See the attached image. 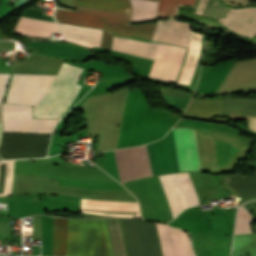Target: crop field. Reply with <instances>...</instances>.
Returning a JSON list of instances; mask_svg holds the SVG:
<instances>
[{
	"instance_id": "crop-field-28",
	"label": "crop field",
	"mask_w": 256,
	"mask_h": 256,
	"mask_svg": "<svg viewBox=\"0 0 256 256\" xmlns=\"http://www.w3.org/2000/svg\"><path fill=\"white\" fill-rule=\"evenodd\" d=\"M0 137H1V123H0Z\"/></svg>"
},
{
	"instance_id": "crop-field-20",
	"label": "crop field",
	"mask_w": 256,
	"mask_h": 256,
	"mask_svg": "<svg viewBox=\"0 0 256 256\" xmlns=\"http://www.w3.org/2000/svg\"><path fill=\"white\" fill-rule=\"evenodd\" d=\"M251 214L241 206L238 210V218L235 234L251 233L249 223Z\"/></svg>"
},
{
	"instance_id": "crop-field-24",
	"label": "crop field",
	"mask_w": 256,
	"mask_h": 256,
	"mask_svg": "<svg viewBox=\"0 0 256 256\" xmlns=\"http://www.w3.org/2000/svg\"><path fill=\"white\" fill-rule=\"evenodd\" d=\"M248 127L249 129L256 131V118H248Z\"/></svg>"
},
{
	"instance_id": "crop-field-17",
	"label": "crop field",
	"mask_w": 256,
	"mask_h": 256,
	"mask_svg": "<svg viewBox=\"0 0 256 256\" xmlns=\"http://www.w3.org/2000/svg\"><path fill=\"white\" fill-rule=\"evenodd\" d=\"M114 256H126L117 218L105 219Z\"/></svg>"
},
{
	"instance_id": "crop-field-15",
	"label": "crop field",
	"mask_w": 256,
	"mask_h": 256,
	"mask_svg": "<svg viewBox=\"0 0 256 256\" xmlns=\"http://www.w3.org/2000/svg\"><path fill=\"white\" fill-rule=\"evenodd\" d=\"M15 32L20 35L50 37L51 33H60L59 25L53 22L21 17Z\"/></svg>"
},
{
	"instance_id": "crop-field-27",
	"label": "crop field",
	"mask_w": 256,
	"mask_h": 256,
	"mask_svg": "<svg viewBox=\"0 0 256 256\" xmlns=\"http://www.w3.org/2000/svg\"><path fill=\"white\" fill-rule=\"evenodd\" d=\"M0 121H1V104H0Z\"/></svg>"
},
{
	"instance_id": "crop-field-26",
	"label": "crop field",
	"mask_w": 256,
	"mask_h": 256,
	"mask_svg": "<svg viewBox=\"0 0 256 256\" xmlns=\"http://www.w3.org/2000/svg\"><path fill=\"white\" fill-rule=\"evenodd\" d=\"M254 91H256V87L253 88V89H251V90H248V91H246V92H244V93L247 94V93H251V92H254Z\"/></svg>"
},
{
	"instance_id": "crop-field-1",
	"label": "crop field",
	"mask_w": 256,
	"mask_h": 256,
	"mask_svg": "<svg viewBox=\"0 0 256 256\" xmlns=\"http://www.w3.org/2000/svg\"><path fill=\"white\" fill-rule=\"evenodd\" d=\"M158 1V0H156ZM77 9L130 21V0H74ZM84 11L56 7L57 22L103 29L102 48L109 49L112 35L152 38L155 23L129 25L130 22L112 19Z\"/></svg>"
},
{
	"instance_id": "crop-field-13",
	"label": "crop field",
	"mask_w": 256,
	"mask_h": 256,
	"mask_svg": "<svg viewBox=\"0 0 256 256\" xmlns=\"http://www.w3.org/2000/svg\"><path fill=\"white\" fill-rule=\"evenodd\" d=\"M170 20L172 19H169L168 21ZM161 22H167V21H157L152 39L157 38V34L159 31ZM185 25L186 23L177 22L174 20L167 23H162L159 34H158V38L157 40H154V41L182 46L183 40H184ZM188 35H189V24H187L186 26L185 40L183 45L185 47H187Z\"/></svg>"
},
{
	"instance_id": "crop-field-12",
	"label": "crop field",
	"mask_w": 256,
	"mask_h": 256,
	"mask_svg": "<svg viewBox=\"0 0 256 256\" xmlns=\"http://www.w3.org/2000/svg\"><path fill=\"white\" fill-rule=\"evenodd\" d=\"M163 256H194L186 233L156 223Z\"/></svg>"
},
{
	"instance_id": "crop-field-6",
	"label": "crop field",
	"mask_w": 256,
	"mask_h": 256,
	"mask_svg": "<svg viewBox=\"0 0 256 256\" xmlns=\"http://www.w3.org/2000/svg\"><path fill=\"white\" fill-rule=\"evenodd\" d=\"M81 71L82 68L63 63L52 85L33 108V118H59L80 88L75 83Z\"/></svg>"
},
{
	"instance_id": "crop-field-3",
	"label": "crop field",
	"mask_w": 256,
	"mask_h": 256,
	"mask_svg": "<svg viewBox=\"0 0 256 256\" xmlns=\"http://www.w3.org/2000/svg\"><path fill=\"white\" fill-rule=\"evenodd\" d=\"M174 132L180 171H200L194 130L174 128ZM114 153L122 183L152 175L145 145Z\"/></svg>"
},
{
	"instance_id": "crop-field-4",
	"label": "crop field",
	"mask_w": 256,
	"mask_h": 256,
	"mask_svg": "<svg viewBox=\"0 0 256 256\" xmlns=\"http://www.w3.org/2000/svg\"><path fill=\"white\" fill-rule=\"evenodd\" d=\"M256 43V5L231 7L223 0H197L193 14H181Z\"/></svg>"
},
{
	"instance_id": "crop-field-9",
	"label": "crop field",
	"mask_w": 256,
	"mask_h": 256,
	"mask_svg": "<svg viewBox=\"0 0 256 256\" xmlns=\"http://www.w3.org/2000/svg\"><path fill=\"white\" fill-rule=\"evenodd\" d=\"M158 177L172 219L185 207L199 205L188 173Z\"/></svg>"
},
{
	"instance_id": "crop-field-21",
	"label": "crop field",
	"mask_w": 256,
	"mask_h": 256,
	"mask_svg": "<svg viewBox=\"0 0 256 256\" xmlns=\"http://www.w3.org/2000/svg\"><path fill=\"white\" fill-rule=\"evenodd\" d=\"M33 226H23L24 237H33V240H41V215L32 217Z\"/></svg>"
},
{
	"instance_id": "crop-field-2",
	"label": "crop field",
	"mask_w": 256,
	"mask_h": 256,
	"mask_svg": "<svg viewBox=\"0 0 256 256\" xmlns=\"http://www.w3.org/2000/svg\"><path fill=\"white\" fill-rule=\"evenodd\" d=\"M67 219L54 217L52 255L66 256ZM67 256H113L104 219H68Z\"/></svg>"
},
{
	"instance_id": "crop-field-10",
	"label": "crop field",
	"mask_w": 256,
	"mask_h": 256,
	"mask_svg": "<svg viewBox=\"0 0 256 256\" xmlns=\"http://www.w3.org/2000/svg\"><path fill=\"white\" fill-rule=\"evenodd\" d=\"M54 78L55 76L13 74L5 102L35 106Z\"/></svg>"
},
{
	"instance_id": "crop-field-22",
	"label": "crop field",
	"mask_w": 256,
	"mask_h": 256,
	"mask_svg": "<svg viewBox=\"0 0 256 256\" xmlns=\"http://www.w3.org/2000/svg\"><path fill=\"white\" fill-rule=\"evenodd\" d=\"M9 74H0V103L2 102L4 90L6 87L7 79Z\"/></svg>"
},
{
	"instance_id": "crop-field-16",
	"label": "crop field",
	"mask_w": 256,
	"mask_h": 256,
	"mask_svg": "<svg viewBox=\"0 0 256 256\" xmlns=\"http://www.w3.org/2000/svg\"><path fill=\"white\" fill-rule=\"evenodd\" d=\"M227 185L243 199L256 196V175L252 177L227 176Z\"/></svg>"
},
{
	"instance_id": "crop-field-11",
	"label": "crop field",
	"mask_w": 256,
	"mask_h": 256,
	"mask_svg": "<svg viewBox=\"0 0 256 256\" xmlns=\"http://www.w3.org/2000/svg\"><path fill=\"white\" fill-rule=\"evenodd\" d=\"M57 121L32 119V107L3 104V131L51 133Z\"/></svg>"
},
{
	"instance_id": "crop-field-7",
	"label": "crop field",
	"mask_w": 256,
	"mask_h": 256,
	"mask_svg": "<svg viewBox=\"0 0 256 256\" xmlns=\"http://www.w3.org/2000/svg\"><path fill=\"white\" fill-rule=\"evenodd\" d=\"M226 97L210 99L193 98L184 116L225 123L227 118L208 117L219 114ZM220 114L256 117V99L227 97Z\"/></svg>"
},
{
	"instance_id": "crop-field-18",
	"label": "crop field",
	"mask_w": 256,
	"mask_h": 256,
	"mask_svg": "<svg viewBox=\"0 0 256 256\" xmlns=\"http://www.w3.org/2000/svg\"><path fill=\"white\" fill-rule=\"evenodd\" d=\"M133 12L131 20H142L156 16V9L159 2L148 0H131Z\"/></svg>"
},
{
	"instance_id": "crop-field-23",
	"label": "crop field",
	"mask_w": 256,
	"mask_h": 256,
	"mask_svg": "<svg viewBox=\"0 0 256 256\" xmlns=\"http://www.w3.org/2000/svg\"><path fill=\"white\" fill-rule=\"evenodd\" d=\"M9 222H0V235H8Z\"/></svg>"
},
{
	"instance_id": "crop-field-14",
	"label": "crop field",
	"mask_w": 256,
	"mask_h": 256,
	"mask_svg": "<svg viewBox=\"0 0 256 256\" xmlns=\"http://www.w3.org/2000/svg\"><path fill=\"white\" fill-rule=\"evenodd\" d=\"M59 24L64 35V40L72 41L91 48L92 46H100L102 30Z\"/></svg>"
},
{
	"instance_id": "crop-field-8",
	"label": "crop field",
	"mask_w": 256,
	"mask_h": 256,
	"mask_svg": "<svg viewBox=\"0 0 256 256\" xmlns=\"http://www.w3.org/2000/svg\"><path fill=\"white\" fill-rule=\"evenodd\" d=\"M127 256H162L155 223L119 219Z\"/></svg>"
},
{
	"instance_id": "crop-field-5",
	"label": "crop field",
	"mask_w": 256,
	"mask_h": 256,
	"mask_svg": "<svg viewBox=\"0 0 256 256\" xmlns=\"http://www.w3.org/2000/svg\"><path fill=\"white\" fill-rule=\"evenodd\" d=\"M158 44L114 36L111 49L154 59ZM185 50L160 43L149 77L175 82Z\"/></svg>"
},
{
	"instance_id": "crop-field-25",
	"label": "crop field",
	"mask_w": 256,
	"mask_h": 256,
	"mask_svg": "<svg viewBox=\"0 0 256 256\" xmlns=\"http://www.w3.org/2000/svg\"><path fill=\"white\" fill-rule=\"evenodd\" d=\"M227 1L235 2V3H241V2H252V1H256V0H227Z\"/></svg>"
},
{
	"instance_id": "crop-field-19",
	"label": "crop field",
	"mask_w": 256,
	"mask_h": 256,
	"mask_svg": "<svg viewBox=\"0 0 256 256\" xmlns=\"http://www.w3.org/2000/svg\"><path fill=\"white\" fill-rule=\"evenodd\" d=\"M195 0H160L157 18L171 17L177 14L178 5H194Z\"/></svg>"
}]
</instances>
